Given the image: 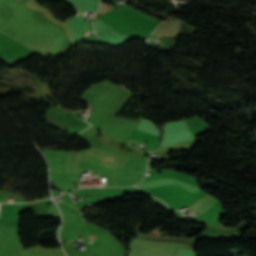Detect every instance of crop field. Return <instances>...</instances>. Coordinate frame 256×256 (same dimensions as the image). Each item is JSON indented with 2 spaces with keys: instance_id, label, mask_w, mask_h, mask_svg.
<instances>
[{
  "instance_id": "8a807250",
  "label": "crop field",
  "mask_w": 256,
  "mask_h": 256,
  "mask_svg": "<svg viewBox=\"0 0 256 256\" xmlns=\"http://www.w3.org/2000/svg\"><path fill=\"white\" fill-rule=\"evenodd\" d=\"M138 129L148 131L154 134L158 135V130L154 127V125L146 120H143L141 125L138 127Z\"/></svg>"
}]
</instances>
